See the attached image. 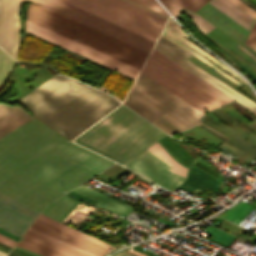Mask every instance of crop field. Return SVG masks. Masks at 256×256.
<instances>
[{
  "mask_svg": "<svg viewBox=\"0 0 256 256\" xmlns=\"http://www.w3.org/2000/svg\"><path fill=\"white\" fill-rule=\"evenodd\" d=\"M255 42H256V22L247 38L245 44H247L249 47L253 48Z\"/></svg>",
  "mask_w": 256,
  "mask_h": 256,
  "instance_id": "750c4746",
  "label": "crop field"
},
{
  "mask_svg": "<svg viewBox=\"0 0 256 256\" xmlns=\"http://www.w3.org/2000/svg\"><path fill=\"white\" fill-rule=\"evenodd\" d=\"M161 117H163L164 119H166L167 121H169L170 123H172L173 125H175L176 127H178L181 130L186 129L185 126H183L181 123H179L178 121H176L175 119H173L171 116H169L166 113L163 114Z\"/></svg>",
  "mask_w": 256,
  "mask_h": 256,
  "instance_id": "d32e631a",
  "label": "crop field"
},
{
  "mask_svg": "<svg viewBox=\"0 0 256 256\" xmlns=\"http://www.w3.org/2000/svg\"><path fill=\"white\" fill-rule=\"evenodd\" d=\"M0 246H1V247H4V248H7V249H9V250L11 249V248H9V247L3 245V244H0ZM0 250H2V251H4V252L8 253V251H6V250H4V249H1V248H0Z\"/></svg>",
  "mask_w": 256,
  "mask_h": 256,
  "instance_id": "b80d0937",
  "label": "crop field"
},
{
  "mask_svg": "<svg viewBox=\"0 0 256 256\" xmlns=\"http://www.w3.org/2000/svg\"><path fill=\"white\" fill-rule=\"evenodd\" d=\"M0 242L5 244V245H7V246H9V247H11V248L16 243V241H14V240H12V239H10V238L2 235V234H0Z\"/></svg>",
  "mask_w": 256,
  "mask_h": 256,
  "instance_id": "5866460e",
  "label": "crop field"
},
{
  "mask_svg": "<svg viewBox=\"0 0 256 256\" xmlns=\"http://www.w3.org/2000/svg\"><path fill=\"white\" fill-rule=\"evenodd\" d=\"M223 145H225V146H227V147H229V148H231V149H233V150H235V151H237V152H239V153L242 151V150H241V151H239L240 149H239V150H237L238 148H237V149H235V148H233V147H231V146H229V145H227V144H225V143H223ZM239 153H238V154H239Z\"/></svg>",
  "mask_w": 256,
  "mask_h": 256,
  "instance_id": "c035e120",
  "label": "crop field"
},
{
  "mask_svg": "<svg viewBox=\"0 0 256 256\" xmlns=\"http://www.w3.org/2000/svg\"><path fill=\"white\" fill-rule=\"evenodd\" d=\"M112 164L33 118L0 138V191L42 210Z\"/></svg>",
  "mask_w": 256,
  "mask_h": 256,
  "instance_id": "8a807250",
  "label": "crop field"
},
{
  "mask_svg": "<svg viewBox=\"0 0 256 256\" xmlns=\"http://www.w3.org/2000/svg\"><path fill=\"white\" fill-rule=\"evenodd\" d=\"M17 246L43 256H90L51 241L29 230H27L20 243H17Z\"/></svg>",
  "mask_w": 256,
  "mask_h": 256,
  "instance_id": "5142ce71",
  "label": "crop field"
},
{
  "mask_svg": "<svg viewBox=\"0 0 256 256\" xmlns=\"http://www.w3.org/2000/svg\"><path fill=\"white\" fill-rule=\"evenodd\" d=\"M37 218H39V219H41V220H43V221H45V222L55 226V227H58V228L66 231V232H68L70 234H73L75 236L81 237V238L86 239V240H90V241H92V242H94L96 244H99L102 247L107 248V249H109V248L113 249V246H111V245H109V244H107V243H105V242H103V241H101V240H99V239H97L95 237L83 234L84 232L81 233V232H79V231H77V230H75L73 228H70V227H68L66 225H63V224H61V223H59V222H57V221H55V220H53V219L43 215V214H40Z\"/></svg>",
  "mask_w": 256,
  "mask_h": 256,
  "instance_id": "00972430",
  "label": "crop field"
},
{
  "mask_svg": "<svg viewBox=\"0 0 256 256\" xmlns=\"http://www.w3.org/2000/svg\"><path fill=\"white\" fill-rule=\"evenodd\" d=\"M162 4L176 17L182 7L196 11L208 0H160Z\"/></svg>",
  "mask_w": 256,
  "mask_h": 256,
  "instance_id": "dafd665d",
  "label": "crop field"
},
{
  "mask_svg": "<svg viewBox=\"0 0 256 256\" xmlns=\"http://www.w3.org/2000/svg\"><path fill=\"white\" fill-rule=\"evenodd\" d=\"M156 41L165 20L121 0H64Z\"/></svg>",
  "mask_w": 256,
  "mask_h": 256,
  "instance_id": "dd49c442",
  "label": "crop field"
},
{
  "mask_svg": "<svg viewBox=\"0 0 256 256\" xmlns=\"http://www.w3.org/2000/svg\"><path fill=\"white\" fill-rule=\"evenodd\" d=\"M113 256H129V255H126V254L120 252V253H118L116 255H113Z\"/></svg>",
  "mask_w": 256,
  "mask_h": 256,
  "instance_id": "03da06ac",
  "label": "crop field"
},
{
  "mask_svg": "<svg viewBox=\"0 0 256 256\" xmlns=\"http://www.w3.org/2000/svg\"><path fill=\"white\" fill-rule=\"evenodd\" d=\"M99 92L56 74L18 102L27 106L35 118L72 140L119 105Z\"/></svg>",
  "mask_w": 256,
  "mask_h": 256,
  "instance_id": "ac0d7876",
  "label": "crop field"
},
{
  "mask_svg": "<svg viewBox=\"0 0 256 256\" xmlns=\"http://www.w3.org/2000/svg\"><path fill=\"white\" fill-rule=\"evenodd\" d=\"M182 12H185L186 15L190 16L194 25L197 27V29L202 33V35H206L207 33H209L211 30H213L214 27L212 24H210L209 22H207L205 19H203L202 17H200L198 14L185 10L183 9Z\"/></svg>",
  "mask_w": 256,
  "mask_h": 256,
  "instance_id": "730fd06b",
  "label": "crop field"
},
{
  "mask_svg": "<svg viewBox=\"0 0 256 256\" xmlns=\"http://www.w3.org/2000/svg\"><path fill=\"white\" fill-rule=\"evenodd\" d=\"M124 1H127V2H129V3L133 4V5H136V6L140 7V8H143V9H145V10H147V11H149V12H152V13H154V14H156V15H159V16L165 18V19L167 18V16H165V15H163V14H161V13H158V12L152 10V9H149V8H147V7H145V6H142V5H140V4L136 3V2H133V1H131V0H124Z\"/></svg>",
  "mask_w": 256,
  "mask_h": 256,
  "instance_id": "028f5c9d",
  "label": "crop field"
},
{
  "mask_svg": "<svg viewBox=\"0 0 256 256\" xmlns=\"http://www.w3.org/2000/svg\"><path fill=\"white\" fill-rule=\"evenodd\" d=\"M31 5L32 4L30 3L29 8L27 10V17H26L27 20H28L29 9H30ZM29 19L34 22H37L41 25H44L48 28L56 30L60 33H63L67 36H70L74 39H77L78 41H80L82 43H85L91 47H94L98 50L108 53L114 57L124 60L130 64L137 66V67H139L142 59L144 58V56L146 54V52L141 49H138L132 45H129L123 41H120L114 37H111L105 33H102L96 29H93V28H91L87 25H84L80 22H77L71 18H68L64 15L57 13V12H54V11H52L48 8H45L41 5H36V4L32 5V7L30 9ZM63 34H61V35H63ZM70 37H68V38H70ZM147 54H146V56H147ZM146 56H145V58H146ZM145 58H144V60H145ZM144 60L142 61L141 65L143 64ZM141 65H140V67H141ZM140 67H139V69H140Z\"/></svg>",
  "mask_w": 256,
  "mask_h": 256,
  "instance_id": "412701ff",
  "label": "crop field"
},
{
  "mask_svg": "<svg viewBox=\"0 0 256 256\" xmlns=\"http://www.w3.org/2000/svg\"><path fill=\"white\" fill-rule=\"evenodd\" d=\"M67 194H69V195H71V196H73V197H75V198H77V199H79V200H81V201H83V202L89 203V204H91V205L96 206V204H97V202H95V201H93V200H91V199H89V198H87V197H84V196H82V195L73 193V192H71V191L68 192Z\"/></svg>",
  "mask_w": 256,
  "mask_h": 256,
  "instance_id": "120bbe31",
  "label": "crop field"
},
{
  "mask_svg": "<svg viewBox=\"0 0 256 256\" xmlns=\"http://www.w3.org/2000/svg\"><path fill=\"white\" fill-rule=\"evenodd\" d=\"M234 125L239 127V128H241V129H243V130H245V131H247V132H250V130L246 129L245 127H243L242 125H240L238 123H235Z\"/></svg>",
  "mask_w": 256,
  "mask_h": 256,
  "instance_id": "0bd39190",
  "label": "crop field"
},
{
  "mask_svg": "<svg viewBox=\"0 0 256 256\" xmlns=\"http://www.w3.org/2000/svg\"><path fill=\"white\" fill-rule=\"evenodd\" d=\"M14 62L15 61L10 56L0 49V84L6 82Z\"/></svg>",
  "mask_w": 256,
  "mask_h": 256,
  "instance_id": "eef30255",
  "label": "crop field"
},
{
  "mask_svg": "<svg viewBox=\"0 0 256 256\" xmlns=\"http://www.w3.org/2000/svg\"><path fill=\"white\" fill-rule=\"evenodd\" d=\"M253 50H255V51H256V44H255V46H254Z\"/></svg>",
  "mask_w": 256,
  "mask_h": 256,
  "instance_id": "25e5ab78",
  "label": "crop field"
},
{
  "mask_svg": "<svg viewBox=\"0 0 256 256\" xmlns=\"http://www.w3.org/2000/svg\"><path fill=\"white\" fill-rule=\"evenodd\" d=\"M31 118L19 106H8L0 103V137Z\"/></svg>",
  "mask_w": 256,
  "mask_h": 256,
  "instance_id": "733c2abd",
  "label": "crop field"
},
{
  "mask_svg": "<svg viewBox=\"0 0 256 256\" xmlns=\"http://www.w3.org/2000/svg\"><path fill=\"white\" fill-rule=\"evenodd\" d=\"M26 31L35 34L41 38H44L50 42H53L59 46H62L68 50H71L77 54H80L88 59H91L97 63H100L106 67H109L115 71H118L131 78H135L138 69L122 63L116 59L106 56L100 52L90 49L84 45H81L75 41L65 38L59 34L49 31L43 27L33 24L26 20Z\"/></svg>",
  "mask_w": 256,
  "mask_h": 256,
  "instance_id": "5a996713",
  "label": "crop field"
},
{
  "mask_svg": "<svg viewBox=\"0 0 256 256\" xmlns=\"http://www.w3.org/2000/svg\"><path fill=\"white\" fill-rule=\"evenodd\" d=\"M164 137H165L169 142H171V143H172L183 155H185L191 162L194 160V159H193L189 154H187L177 143H175L168 135H165ZM164 137L162 138V140H163L173 151H175V152L189 165L191 162H190L186 157H184V156H183L172 144H170ZM160 140H161V139H160ZM160 140H159V141H160ZM162 140H161V141H162ZM161 141H160V142H161ZM163 141H162V142H163ZM162 142H161V143H162ZM164 142H163V143H164ZM163 143H162V144H163ZM165 143H164V144H165ZM166 144H165V145H166ZM167 145H166V146H167ZM161 146H162V145H161ZM163 146H164V145H163ZM163 146H162V147H163ZM164 147H165V146H164ZM164 147H163V148H164ZM167 148H168V147H167ZM164 149L172 156L173 159H175L176 161L179 160V159L173 154V155L178 159V160H177L166 148H164ZM168 149H169V148H168ZM169 150H170V149H169ZM170 151H171V150H170ZM171 152H172V151H171ZM172 153H173V152H172ZM176 153H175V154H176ZM177 154H176V155H177ZM178 155H177V156H178ZM179 156H178V157H179ZM180 157H179V158H180ZM181 158H180V159H181ZM181 161H182V160H181ZM178 162H180V161H178ZM182 162H183V161H182ZM180 163H181V162H180ZM181 164H182V163H181ZM183 164H184V163H183ZM183 164H182V165H183ZM184 165H185V164H184ZM185 166H186V165H185ZM186 167H187V166H186Z\"/></svg>",
  "mask_w": 256,
  "mask_h": 256,
  "instance_id": "4177f3b9",
  "label": "crop field"
},
{
  "mask_svg": "<svg viewBox=\"0 0 256 256\" xmlns=\"http://www.w3.org/2000/svg\"><path fill=\"white\" fill-rule=\"evenodd\" d=\"M29 230H31V231H33V232H36V233H38V234H40V235H42V236H45V237H47V238H49V239H51V240H54V241H56V242H59V243L64 244V245H66V246H69V247H71V248L77 249V250H79V251L85 252V253L90 254V255H93V256H98V255H96V254H94V253H92V252H89V251H86V250H83V249L74 247V246H72V245L63 243V242H61V241H58V240H56V239H54V238H52V237H50V236H48V235H46V234L40 233V232L35 231V230L31 229V228H29Z\"/></svg>",
  "mask_w": 256,
  "mask_h": 256,
  "instance_id": "bd1437ed",
  "label": "crop field"
},
{
  "mask_svg": "<svg viewBox=\"0 0 256 256\" xmlns=\"http://www.w3.org/2000/svg\"><path fill=\"white\" fill-rule=\"evenodd\" d=\"M239 46L240 48H242L239 44L237 45ZM245 52H247L244 48H242ZM250 56L254 57L253 55H251L249 52H247ZM256 60V58H254Z\"/></svg>",
  "mask_w": 256,
  "mask_h": 256,
  "instance_id": "b54c1fbb",
  "label": "crop field"
},
{
  "mask_svg": "<svg viewBox=\"0 0 256 256\" xmlns=\"http://www.w3.org/2000/svg\"><path fill=\"white\" fill-rule=\"evenodd\" d=\"M0 256H6V253L0 251Z\"/></svg>",
  "mask_w": 256,
  "mask_h": 256,
  "instance_id": "d23c7cc5",
  "label": "crop field"
},
{
  "mask_svg": "<svg viewBox=\"0 0 256 256\" xmlns=\"http://www.w3.org/2000/svg\"><path fill=\"white\" fill-rule=\"evenodd\" d=\"M253 115H255V116H256V113H253Z\"/></svg>",
  "mask_w": 256,
  "mask_h": 256,
  "instance_id": "73cf0c24",
  "label": "crop field"
},
{
  "mask_svg": "<svg viewBox=\"0 0 256 256\" xmlns=\"http://www.w3.org/2000/svg\"><path fill=\"white\" fill-rule=\"evenodd\" d=\"M31 228L36 229L38 231H41L43 233H46L48 235H51L53 237H56L66 243L73 244L76 246H79L81 248L87 249L89 251H92L100 256L108 253L109 251L88 241H84L80 238H77L73 235H70L62 230H59L39 219L36 218L34 223L31 225Z\"/></svg>",
  "mask_w": 256,
  "mask_h": 256,
  "instance_id": "d9b57169",
  "label": "crop field"
},
{
  "mask_svg": "<svg viewBox=\"0 0 256 256\" xmlns=\"http://www.w3.org/2000/svg\"><path fill=\"white\" fill-rule=\"evenodd\" d=\"M10 255H13V256H22L20 254H16V253H13V252H10Z\"/></svg>",
  "mask_w": 256,
  "mask_h": 256,
  "instance_id": "5d738f31",
  "label": "crop field"
},
{
  "mask_svg": "<svg viewBox=\"0 0 256 256\" xmlns=\"http://www.w3.org/2000/svg\"><path fill=\"white\" fill-rule=\"evenodd\" d=\"M209 3L245 27L247 30H250L255 19L233 5L228 0H211Z\"/></svg>",
  "mask_w": 256,
  "mask_h": 256,
  "instance_id": "214f88e0",
  "label": "crop field"
},
{
  "mask_svg": "<svg viewBox=\"0 0 256 256\" xmlns=\"http://www.w3.org/2000/svg\"><path fill=\"white\" fill-rule=\"evenodd\" d=\"M3 87H4V85H0V91L2 90Z\"/></svg>",
  "mask_w": 256,
  "mask_h": 256,
  "instance_id": "425ffa30",
  "label": "crop field"
},
{
  "mask_svg": "<svg viewBox=\"0 0 256 256\" xmlns=\"http://www.w3.org/2000/svg\"><path fill=\"white\" fill-rule=\"evenodd\" d=\"M229 1H231L233 4H235L236 6L241 8L243 11H245L246 13L251 15L253 18H256V11H254L250 7L246 6L241 1H239V0H229Z\"/></svg>",
  "mask_w": 256,
  "mask_h": 256,
  "instance_id": "d3111659",
  "label": "crop field"
},
{
  "mask_svg": "<svg viewBox=\"0 0 256 256\" xmlns=\"http://www.w3.org/2000/svg\"><path fill=\"white\" fill-rule=\"evenodd\" d=\"M163 135L164 132L121 105L74 141L124 164Z\"/></svg>",
  "mask_w": 256,
  "mask_h": 256,
  "instance_id": "34b2d1b8",
  "label": "crop field"
},
{
  "mask_svg": "<svg viewBox=\"0 0 256 256\" xmlns=\"http://www.w3.org/2000/svg\"><path fill=\"white\" fill-rule=\"evenodd\" d=\"M39 212L0 193V227L21 237Z\"/></svg>",
  "mask_w": 256,
  "mask_h": 256,
  "instance_id": "d1516ede",
  "label": "crop field"
},
{
  "mask_svg": "<svg viewBox=\"0 0 256 256\" xmlns=\"http://www.w3.org/2000/svg\"><path fill=\"white\" fill-rule=\"evenodd\" d=\"M21 2L2 0L0 8V47L16 59L19 42V8Z\"/></svg>",
  "mask_w": 256,
  "mask_h": 256,
  "instance_id": "22f410ed",
  "label": "crop field"
},
{
  "mask_svg": "<svg viewBox=\"0 0 256 256\" xmlns=\"http://www.w3.org/2000/svg\"><path fill=\"white\" fill-rule=\"evenodd\" d=\"M124 104L149 121L166 112L188 128L203 115L141 72Z\"/></svg>",
  "mask_w": 256,
  "mask_h": 256,
  "instance_id": "f4fd0767",
  "label": "crop field"
},
{
  "mask_svg": "<svg viewBox=\"0 0 256 256\" xmlns=\"http://www.w3.org/2000/svg\"><path fill=\"white\" fill-rule=\"evenodd\" d=\"M147 150H149L156 156L160 157L161 159L172 165L173 167L170 169L171 171L177 172L183 175L184 177L186 176V172L188 169L178 164L175 160H173L171 156L160 146L158 142L151 145Z\"/></svg>",
  "mask_w": 256,
  "mask_h": 256,
  "instance_id": "a9b5d70f",
  "label": "crop field"
},
{
  "mask_svg": "<svg viewBox=\"0 0 256 256\" xmlns=\"http://www.w3.org/2000/svg\"><path fill=\"white\" fill-rule=\"evenodd\" d=\"M150 55H152L153 57H155L156 59H158L159 61H161L162 63H164L165 65H167L168 67H170L171 69H173L174 71H176L177 73L185 77L186 79H188L189 81L201 87L205 91L221 99L222 101L227 103L234 100L229 96L225 95L224 93H222L221 91L217 90L216 88L212 87L211 85L196 78L195 76H193L192 74H190L189 72H187L186 70H184L183 68H181L180 66H178L177 64H175L174 62H172L162 54H160L159 52H157L156 50L153 49Z\"/></svg>",
  "mask_w": 256,
  "mask_h": 256,
  "instance_id": "4a817a6b",
  "label": "crop field"
},
{
  "mask_svg": "<svg viewBox=\"0 0 256 256\" xmlns=\"http://www.w3.org/2000/svg\"><path fill=\"white\" fill-rule=\"evenodd\" d=\"M10 256V255H9Z\"/></svg>",
  "mask_w": 256,
  "mask_h": 256,
  "instance_id": "89e229c0",
  "label": "crop field"
},
{
  "mask_svg": "<svg viewBox=\"0 0 256 256\" xmlns=\"http://www.w3.org/2000/svg\"><path fill=\"white\" fill-rule=\"evenodd\" d=\"M158 40H160L161 42H163L164 44H166L167 46H169L170 48H172L173 50H175L176 52H178L179 54H181L184 57L189 54V53L185 52L184 50H182L181 48L174 45L173 43H171L170 41H168L166 38H164L161 35ZM160 41H157L154 49H156L157 51H159L160 53H162L163 55H165L166 57H168L169 59H171L172 61H174L175 63H177L178 65H180L181 67H183L184 69H186L187 71L192 73L193 75H195L196 77L204 80L205 82L211 84L212 86L216 87L217 89H219L222 92L226 93L227 95L231 96L235 100L239 101L244 106H246L248 109H250L252 112L256 111V103H254L252 100H250L247 97H245L244 95L240 94L239 92H237L236 90H234L233 88H231L230 86L225 84L224 82H222V81L218 80L217 78L213 77L212 75L206 73L201 68L196 66L194 63L188 61L187 59H185L184 57H182L181 55H179L178 53H176L175 51H173L172 49H170L169 47H167ZM216 83L229 89L230 91L234 92L238 96L227 91L226 89L220 87Z\"/></svg>",
  "mask_w": 256,
  "mask_h": 256,
  "instance_id": "3316defc",
  "label": "crop field"
},
{
  "mask_svg": "<svg viewBox=\"0 0 256 256\" xmlns=\"http://www.w3.org/2000/svg\"><path fill=\"white\" fill-rule=\"evenodd\" d=\"M13 251H15V252H18V253H20V254H24V255H27V256H32V255H29V254H26V253H24V252H21V251H17V250H14V249H13Z\"/></svg>",
  "mask_w": 256,
  "mask_h": 256,
  "instance_id": "c21b1889",
  "label": "crop field"
},
{
  "mask_svg": "<svg viewBox=\"0 0 256 256\" xmlns=\"http://www.w3.org/2000/svg\"><path fill=\"white\" fill-rule=\"evenodd\" d=\"M141 72L203 114L204 108L210 110L225 104L150 55Z\"/></svg>",
  "mask_w": 256,
  "mask_h": 256,
  "instance_id": "e52e79f7",
  "label": "crop field"
},
{
  "mask_svg": "<svg viewBox=\"0 0 256 256\" xmlns=\"http://www.w3.org/2000/svg\"><path fill=\"white\" fill-rule=\"evenodd\" d=\"M0 233L6 235V236H8V237H10V238H12V239H14V240H16V241L19 239V237H17V236H15V235H13V234H11V233H9V232H7V231L1 229V228H0Z\"/></svg>",
  "mask_w": 256,
  "mask_h": 256,
  "instance_id": "e1f06a70",
  "label": "crop field"
},
{
  "mask_svg": "<svg viewBox=\"0 0 256 256\" xmlns=\"http://www.w3.org/2000/svg\"><path fill=\"white\" fill-rule=\"evenodd\" d=\"M192 165L198 167L199 169L205 171L206 173H208V174H210V175H212V176H214L216 178L220 176L217 173H215L213 170H211L209 167H207V166H205V165H203V164H201V163H199L197 161L194 162Z\"/></svg>",
  "mask_w": 256,
  "mask_h": 256,
  "instance_id": "1d83c4d3",
  "label": "crop field"
},
{
  "mask_svg": "<svg viewBox=\"0 0 256 256\" xmlns=\"http://www.w3.org/2000/svg\"><path fill=\"white\" fill-rule=\"evenodd\" d=\"M125 166L172 191L186 179L171 172L169 169L172 166L160 160L147 150L131 160Z\"/></svg>",
  "mask_w": 256,
  "mask_h": 256,
  "instance_id": "28ad6ade",
  "label": "crop field"
},
{
  "mask_svg": "<svg viewBox=\"0 0 256 256\" xmlns=\"http://www.w3.org/2000/svg\"><path fill=\"white\" fill-rule=\"evenodd\" d=\"M79 203V201L64 195L57 200L48 204L42 211V213L58 220L62 219L72 210V208Z\"/></svg>",
  "mask_w": 256,
  "mask_h": 256,
  "instance_id": "92a150f3",
  "label": "crop field"
},
{
  "mask_svg": "<svg viewBox=\"0 0 256 256\" xmlns=\"http://www.w3.org/2000/svg\"><path fill=\"white\" fill-rule=\"evenodd\" d=\"M72 191L80 193L82 195H85V196L99 202L97 205L98 207L106 208V209H108L112 212H115L119 215H122L124 217H126V215L128 213H130L132 210L131 207H129L117 200H114L106 195H103L97 191H93L90 188H87L83 185L73 189Z\"/></svg>",
  "mask_w": 256,
  "mask_h": 256,
  "instance_id": "bc2a9ffb",
  "label": "crop field"
},
{
  "mask_svg": "<svg viewBox=\"0 0 256 256\" xmlns=\"http://www.w3.org/2000/svg\"><path fill=\"white\" fill-rule=\"evenodd\" d=\"M27 2L41 3L42 5L87 24L93 28L110 34L116 38L133 44L149 52L154 41L67 4L61 0H23Z\"/></svg>",
  "mask_w": 256,
  "mask_h": 256,
  "instance_id": "d8731c3e",
  "label": "crop field"
},
{
  "mask_svg": "<svg viewBox=\"0 0 256 256\" xmlns=\"http://www.w3.org/2000/svg\"><path fill=\"white\" fill-rule=\"evenodd\" d=\"M164 37H166L167 39L171 40L172 42H174L175 44H177L178 46L182 47L183 49H185L186 51L190 52L191 54L195 55L196 57H198L200 60H202L203 62L207 63L208 65H210L212 68H214L216 71H218L220 74H222L223 76H225L227 79H229L230 81L234 82L237 85H242V83L238 82L237 80H235L234 78L230 77L229 75H227L226 73H224L222 70H220L218 67L220 66L221 68H223L225 71H227L229 74H231L232 76H234L235 78H237L238 80H240L241 82H243L244 84H246V82L243 80V78L241 76H239L238 74H236L235 72L229 70L227 67H225L223 64L219 63L216 59H214L213 57H211L210 55H208L206 52H204L203 50H201L200 48H198L197 46H195L194 44H192L190 41L184 39L182 36H186L188 37L182 30L181 28L170 18L167 25L165 26L162 34ZM189 38V37H188ZM184 42L185 44H187L188 46L192 47L193 49H195L196 51L200 52L201 54H203L204 56H206L207 58H209L211 61H213L214 63H216L217 65H219L218 67H216L214 64H212L211 62H209L205 57L201 56L200 54H198L196 51H194L193 49H191L190 47L186 46L185 44H183L182 42Z\"/></svg>",
  "mask_w": 256,
  "mask_h": 256,
  "instance_id": "cbeb9de0",
  "label": "crop field"
},
{
  "mask_svg": "<svg viewBox=\"0 0 256 256\" xmlns=\"http://www.w3.org/2000/svg\"><path fill=\"white\" fill-rule=\"evenodd\" d=\"M138 3H141L147 7H150L158 12H161L167 16H169L164 10L163 8L156 2V0H134Z\"/></svg>",
  "mask_w": 256,
  "mask_h": 256,
  "instance_id": "ae1a2a85",
  "label": "crop field"
}]
</instances>
